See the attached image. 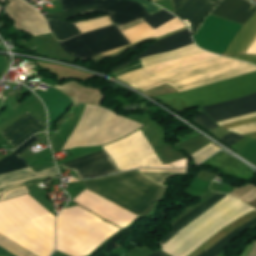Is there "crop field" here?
<instances>
[{
    "mask_svg": "<svg viewBox=\"0 0 256 256\" xmlns=\"http://www.w3.org/2000/svg\"><path fill=\"white\" fill-rule=\"evenodd\" d=\"M73 201L122 229L138 217L87 190ZM116 228L79 206L66 208L57 218V242L81 254Z\"/></svg>",
    "mask_w": 256,
    "mask_h": 256,
    "instance_id": "1",
    "label": "crop field"
},
{
    "mask_svg": "<svg viewBox=\"0 0 256 256\" xmlns=\"http://www.w3.org/2000/svg\"><path fill=\"white\" fill-rule=\"evenodd\" d=\"M55 220L25 196L0 202V233L38 256L54 250Z\"/></svg>",
    "mask_w": 256,
    "mask_h": 256,
    "instance_id": "2",
    "label": "crop field"
},
{
    "mask_svg": "<svg viewBox=\"0 0 256 256\" xmlns=\"http://www.w3.org/2000/svg\"><path fill=\"white\" fill-rule=\"evenodd\" d=\"M252 210L228 195L180 230L179 235L161 247L162 251L172 256H188L214 233Z\"/></svg>",
    "mask_w": 256,
    "mask_h": 256,
    "instance_id": "3",
    "label": "crop field"
},
{
    "mask_svg": "<svg viewBox=\"0 0 256 256\" xmlns=\"http://www.w3.org/2000/svg\"><path fill=\"white\" fill-rule=\"evenodd\" d=\"M253 71H256V67L252 65L221 57L157 75L129 86L145 92L168 84L182 92Z\"/></svg>",
    "mask_w": 256,
    "mask_h": 256,
    "instance_id": "4",
    "label": "crop field"
},
{
    "mask_svg": "<svg viewBox=\"0 0 256 256\" xmlns=\"http://www.w3.org/2000/svg\"><path fill=\"white\" fill-rule=\"evenodd\" d=\"M85 188L136 214H142L164 188L130 171L83 180Z\"/></svg>",
    "mask_w": 256,
    "mask_h": 256,
    "instance_id": "5",
    "label": "crop field"
},
{
    "mask_svg": "<svg viewBox=\"0 0 256 256\" xmlns=\"http://www.w3.org/2000/svg\"><path fill=\"white\" fill-rule=\"evenodd\" d=\"M256 91V72L182 93L155 97L179 113L197 106L210 105Z\"/></svg>",
    "mask_w": 256,
    "mask_h": 256,
    "instance_id": "6",
    "label": "crop field"
},
{
    "mask_svg": "<svg viewBox=\"0 0 256 256\" xmlns=\"http://www.w3.org/2000/svg\"><path fill=\"white\" fill-rule=\"evenodd\" d=\"M251 4L244 0H222L211 14L244 25L252 13L247 12ZM256 43V12L241 27L237 35L226 49L224 56L248 54ZM249 54H256V45Z\"/></svg>",
    "mask_w": 256,
    "mask_h": 256,
    "instance_id": "7",
    "label": "crop field"
},
{
    "mask_svg": "<svg viewBox=\"0 0 256 256\" xmlns=\"http://www.w3.org/2000/svg\"><path fill=\"white\" fill-rule=\"evenodd\" d=\"M103 148L120 171L162 164L141 130Z\"/></svg>",
    "mask_w": 256,
    "mask_h": 256,
    "instance_id": "8",
    "label": "crop field"
},
{
    "mask_svg": "<svg viewBox=\"0 0 256 256\" xmlns=\"http://www.w3.org/2000/svg\"><path fill=\"white\" fill-rule=\"evenodd\" d=\"M60 43L66 52L82 61L101 52L130 45L115 25L97 29Z\"/></svg>",
    "mask_w": 256,
    "mask_h": 256,
    "instance_id": "9",
    "label": "crop field"
},
{
    "mask_svg": "<svg viewBox=\"0 0 256 256\" xmlns=\"http://www.w3.org/2000/svg\"><path fill=\"white\" fill-rule=\"evenodd\" d=\"M64 11L96 3L99 11L107 12L118 27L149 16L137 2L130 0H62Z\"/></svg>",
    "mask_w": 256,
    "mask_h": 256,
    "instance_id": "10",
    "label": "crop field"
},
{
    "mask_svg": "<svg viewBox=\"0 0 256 256\" xmlns=\"http://www.w3.org/2000/svg\"><path fill=\"white\" fill-rule=\"evenodd\" d=\"M6 13L16 21V27L33 36L49 34L46 20L21 0H10Z\"/></svg>",
    "mask_w": 256,
    "mask_h": 256,
    "instance_id": "11",
    "label": "crop field"
},
{
    "mask_svg": "<svg viewBox=\"0 0 256 256\" xmlns=\"http://www.w3.org/2000/svg\"><path fill=\"white\" fill-rule=\"evenodd\" d=\"M61 166L74 170L79 178L118 172L105 150L61 164Z\"/></svg>",
    "mask_w": 256,
    "mask_h": 256,
    "instance_id": "12",
    "label": "crop field"
},
{
    "mask_svg": "<svg viewBox=\"0 0 256 256\" xmlns=\"http://www.w3.org/2000/svg\"><path fill=\"white\" fill-rule=\"evenodd\" d=\"M207 115L215 122L237 117L256 111V93L203 107Z\"/></svg>",
    "mask_w": 256,
    "mask_h": 256,
    "instance_id": "13",
    "label": "crop field"
},
{
    "mask_svg": "<svg viewBox=\"0 0 256 256\" xmlns=\"http://www.w3.org/2000/svg\"><path fill=\"white\" fill-rule=\"evenodd\" d=\"M202 3H218L219 0H197ZM196 0H172L174 12L191 29L193 33L199 26L202 18L215 4H201Z\"/></svg>",
    "mask_w": 256,
    "mask_h": 256,
    "instance_id": "14",
    "label": "crop field"
},
{
    "mask_svg": "<svg viewBox=\"0 0 256 256\" xmlns=\"http://www.w3.org/2000/svg\"><path fill=\"white\" fill-rule=\"evenodd\" d=\"M56 166L35 172L31 167L0 175V195L14 187L29 185L30 182L58 176Z\"/></svg>",
    "mask_w": 256,
    "mask_h": 256,
    "instance_id": "15",
    "label": "crop field"
},
{
    "mask_svg": "<svg viewBox=\"0 0 256 256\" xmlns=\"http://www.w3.org/2000/svg\"><path fill=\"white\" fill-rule=\"evenodd\" d=\"M96 11H98L97 7L95 4H93V5L79 7L67 12L46 15L45 18L48 20L49 27L52 33L54 32L60 40H64L71 36L80 34L79 30L74 25V23L59 22V21H53V20H65L72 17H76L81 14H86V13H91Z\"/></svg>",
    "mask_w": 256,
    "mask_h": 256,
    "instance_id": "16",
    "label": "crop field"
},
{
    "mask_svg": "<svg viewBox=\"0 0 256 256\" xmlns=\"http://www.w3.org/2000/svg\"><path fill=\"white\" fill-rule=\"evenodd\" d=\"M45 125L28 112L1 134L15 149Z\"/></svg>",
    "mask_w": 256,
    "mask_h": 256,
    "instance_id": "17",
    "label": "crop field"
},
{
    "mask_svg": "<svg viewBox=\"0 0 256 256\" xmlns=\"http://www.w3.org/2000/svg\"><path fill=\"white\" fill-rule=\"evenodd\" d=\"M192 39L190 37L189 31L188 29L185 31H182L180 33H177L173 36H170L168 38H165L163 40H160L158 42H156L155 44H153L152 46L148 47L147 49H145L143 52H141L139 55H137L136 57H134L133 59L121 64L120 66H118L117 68L113 69L112 71H115L116 69L132 63L140 58L146 57V56H150V55H155V54H159V53H163V52H167L173 49H176L178 47L187 45L189 43H192Z\"/></svg>",
    "mask_w": 256,
    "mask_h": 256,
    "instance_id": "18",
    "label": "crop field"
},
{
    "mask_svg": "<svg viewBox=\"0 0 256 256\" xmlns=\"http://www.w3.org/2000/svg\"><path fill=\"white\" fill-rule=\"evenodd\" d=\"M225 194L217 193L213 197H211L209 200L201 204L199 207L194 209L193 211L186 214L182 219H180L175 225H173V231L169 233L165 238H163L161 241L158 242L159 246L161 247L166 242H168L170 239H172L174 236H176L180 229H182L185 225H187L189 222H191L194 218H196L198 215L203 213L205 210L213 206L215 203L220 201L222 198H224Z\"/></svg>",
    "mask_w": 256,
    "mask_h": 256,
    "instance_id": "19",
    "label": "crop field"
},
{
    "mask_svg": "<svg viewBox=\"0 0 256 256\" xmlns=\"http://www.w3.org/2000/svg\"><path fill=\"white\" fill-rule=\"evenodd\" d=\"M40 138L34 135L25 143H23L17 150L13 153L5 157L0 161V174H4L7 172L15 171L24 167H28L29 165L25 162V160L19 155L33 143H35Z\"/></svg>",
    "mask_w": 256,
    "mask_h": 256,
    "instance_id": "20",
    "label": "crop field"
},
{
    "mask_svg": "<svg viewBox=\"0 0 256 256\" xmlns=\"http://www.w3.org/2000/svg\"><path fill=\"white\" fill-rule=\"evenodd\" d=\"M256 217V211H252L248 213L247 215L241 217L237 221L233 222L229 226L225 227L218 233H216L212 238H210L206 243H204L199 249H197L191 256H198L201 252H203L205 249H209L211 246H213L215 243L220 241L223 237H225L228 233H230L232 230L236 229L237 227L245 224L246 222L252 220Z\"/></svg>",
    "mask_w": 256,
    "mask_h": 256,
    "instance_id": "21",
    "label": "crop field"
},
{
    "mask_svg": "<svg viewBox=\"0 0 256 256\" xmlns=\"http://www.w3.org/2000/svg\"><path fill=\"white\" fill-rule=\"evenodd\" d=\"M200 52H204V51L197 48L192 43L186 47H183L174 51L143 58V61L146 63L147 66H150L152 64H156V63H160V62H164V61H168V60H172V59H176V58H180V57H184V56H188V55H192Z\"/></svg>",
    "mask_w": 256,
    "mask_h": 256,
    "instance_id": "22",
    "label": "crop field"
},
{
    "mask_svg": "<svg viewBox=\"0 0 256 256\" xmlns=\"http://www.w3.org/2000/svg\"><path fill=\"white\" fill-rule=\"evenodd\" d=\"M256 224V218L250 221L249 223L245 224L244 226L240 227L236 231L232 232L228 236H226L224 239H222L220 242H218L215 246H213L209 250H205L203 253H201L199 256H217L223 248L227 245V243L234 238L236 235H238L241 231L253 226Z\"/></svg>",
    "mask_w": 256,
    "mask_h": 256,
    "instance_id": "23",
    "label": "crop field"
},
{
    "mask_svg": "<svg viewBox=\"0 0 256 256\" xmlns=\"http://www.w3.org/2000/svg\"><path fill=\"white\" fill-rule=\"evenodd\" d=\"M0 246L15 254L16 256H35L34 254L30 253L29 251L25 250L24 248L20 247L2 235H0ZM1 247L0 256H15Z\"/></svg>",
    "mask_w": 256,
    "mask_h": 256,
    "instance_id": "24",
    "label": "crop field"
},
{
    "mask_svg": "<svg viewBox=\"0 0 256 256\" xmlns=\"http://www.w3.org/2000/svg\"><path fill=\"white\" fill-rule=\"evenodd\" d=\"M173 17H175V16H173L163 10V11L156 13L152 16L144 18V20L155 29V28L159 27L160 25H162L163 23L167 22L168 20L172 19Z\"/></svg>",
    "mask_w": 256,
    "mask_h": 256,
    "instance_id": "25",
    "label": "crop field"
},
{
    "mask_svg": "<svg viewBox=\"0 0 256 256\" xmlns=\"http://www.w3.org/2000/svg\"><path fill=\"white\" fill-rule=\"evenodd\" d=\"M136 171V170H134ZM137 173L143 175L144 177L152 180L153 182L165 187L162 182L164 179H166L170 175H176V174H188V168H186V173H152V172H138Z\"/></svg>",
    "mask_w": 256,
    "mask_h": 256,
    "instance_id": "26",
    "label": "crop field"
},
{
    "mask_svg": "<svg viewBox=\"0 0 256 256\" xmlns=\"http://www.w3.org/2000/svg\"><path fill=\"white\" fill-rule=\"evenodd\" d=\"M118 229L114 230L112 233H110L108 236H106L105 238H103L101 241H99L98 243H96L94 246H92L90 249H88L87 251H85L83 254L79 255L59 244H57V250L62 251L64 253H67L69 255L72 256H85L86 254H88L90 251H92L94 248H96L98 245H100L103 241H105L107 238H109L111 235H113L115 232H117Z\"/></svg>",
    "mask_w": 256,
    "mask_h": 256,
    "instance_id": "27",
    "label": "crop field"
},
{
    "mask_svg": "<svg viewBox=\"0 0 256 256\" xmlns=\"http://www.w3.org/2000/svg\"><path fill=\"white\" fill-rule=\"evenodd\" d=\"M193 120L206 130L218 127L206 116L205 112L196 117H193Z\"/></svg>",
    "mask_w": 256,
    "mask_h": 256,
    "instance_id": "28",
    "label": "crop field"
},
{
    "mask_svg": "<svg viewBox=\"0 0 256 256\" xmlns=\"http://www.w3.org/2000/svg\"><path fill=\"white\" fill-rule=\"evenodd\" d=\"M24 194H30L27 186L19 187V188L13 189V190L5 193L0 198V201L6 200V199H10V198H14V197H17V196H21V195H24Z\"/></svg>",
    "mask_w": 256,
    "mask_h": 256,
    "instance_id": "29",
    "label": "crop field"
},
{
    "mask_svg": "<svg viewBox=\"0 0 256 256\" xmlns=\"http://www.w3.org/2000/svg\"><path fill=\"white\" fill-rule=\"evenodd\" d=\"M228 130L239 133L241 135L253 133V132H256V123L238 126V127H234V128L228 129Z\"/></svg>",
    "mask_w": 256,
    "mask_h": 256,
    "instance_id": "30",
    "label": "crop field"
},
{
    "mask_svg": "<svg viewBox=\"0 0 256 256\" xmlns=\"http://www.w3.org/2000/svg\"><path fill=\"white\" fill-rule=\"evenodd\" d=\"M242 138H243V136L230 133V134H228L222 138H219V139H221L223 142H225L227 145H229L231 147L232 145H234L236 142H238Z\"/></svg>",
    "mask_w": 256,
    "mask_h": 256,
    "instance_id": "31",
    "label": "crop field"
},
{
    "mask_svg": "<svg viewBox=\"0 0 256 256\" xmlns=\"http://www.w3.org/2000/svg\"><path fill=\"white\" fill-rule=\"evenodd\" d=\"M137 2H139L141 5H143L145 7V9L149 12L150 15L162 10L161 8L151 4L150 2H148L147 0H135Z\"/></svg>",
    "mask_w": 256,
    "mask_h": 256,
    "instance_id": "32",
    "label": "crop field"
},
{
    "mask_svg": "<svg viewBox=\"0 0 256 256\" xmlns=\"http://www.w3.org/2000/svg\"><path fill=\"white\" fill-rule=\"evenodd\" d=\"M229 57L234 59H240L256 65V55H238V56H229Z\"/></svg>",
    "mask_w": 256,
    "mask_h": 256,
    "instance_id": "33",
    "label": "crop field"
},
{
    "mask_svg": "<svg viewBox=\"0 0 256 256\" xmlns=\"http://www.w3.org/2000/svg\"><path fill=\"white\" fill-rule=\"evenodd\" d=\"M256 121V117L255 118H249V119H245V120H241V121H237V122H233L230 124H227L225 126H222L224 129L226 128H230V127H234V126H238V125H242V124H246V123H250V122H254Z\"/></svg>",
    "mask_w": 256,
    "mask_h": 256,
    "instance_id": "34",
    "label": "crop field"
},
{
    "mask_svg": "<svg viewBox=\"0 0 256 256\" xmlns=\"http://www.w3.org/2000/svg\"><path fill=\"white\" fill-rule=\"evenodd\" d=\"M255 116H256V112L250 113V114H247V115H244V116H240V117H237V118H234V119L218 122L217 124L222 126V125H225V124L233 122V121H237V120H241V119H245V118H249V117H255Z\"/></svg>",
    "mask_w": 256,
    "mask_h": 256,
    "instance_id": "35",
    "label": "crop field"
},
{
    "mask_svg": "<svg viewBox=\"0 0 256 256\" xmlns=\"http://www.w3.org/2000/svg\"><path fill=\"white\" fill-rule=\"evenodd\" d=\"M28 197V199L33 202L36 206H38L41 210H43L46 214H48L49 216H51L53 219H55V217L50 214L43 206H41L40 204H38L32 197H30L29 195H26Z\"/></svg>",
    "mask_w": 256,
    "mask_h": 256,
    "instance_id": "36",
    "label": "crop field"
},
{
    "mask_svg": "<svg viewBox=\"0 0 256 256\" xmlns=\"http://www.w3.org/2000/svg\"><path fill=\"white\" fill-rule=\"evenodd\" d=\"M151 256H169L168 254L164 253L160 250L156 251L153 255Z\"/></svg>",
    "mask_w": 256,
    "mask_h": 256,
    "instance_id": "37",
    "label": "crop field"
},
{
    "mask_svg": "<svg viewBox=\"0 0 256 256\" xmlns=\"http://www.w3.org/2000/svg\"><path fill=\"white\" fill-rule=\"evenodd\" d=\"M244 136H248V137H251V138H255V137H256V133L248 134V135H244Z\"/></svg>",
    "mask_w": 256,
    "mask_h": 256,
    "instance_id": "38",
    "label": "crop field"
},
{
    "mask_svg": "<svg viewBox=\"0 0 256 256\" xmlns=\"http://www.w3.org/2000/svg\"><path fill=\"white\" fill-rule=\"evenodd\" d=\"M52 256H58V255H56V254H54V253H53V255H52Z\"/></svg>",
    "mask_w": 256,
    "mask_h": 256,
    "instance_id": "39",
    "label": "crop field"
},
{
    "mask_svg": "<svg viewBox=\"0 0 256 256\" xmlns=\"http://www.w3.org/2000/svg\"><path fill=\"white\" fill-rule=\"evenodd\" d=\"M50 1H53V0H50Z\"/></svg>",
    "mask_w": 256,
    "mask_h": 256,
    "instance_id": "40",
    "label": "crop field"
}]
</instances>
